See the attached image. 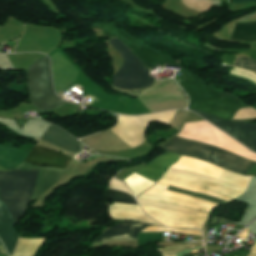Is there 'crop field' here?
I'll list each match as a JSON object with an SVG mask.
<instances>
[{"label": "crop field", "mask_w": 256, "mask_h": 256, "mask_svg": "<svg viewBox=\"0 0 256 256\" xmlns=\"http://www.w3.org/2000/svg\"><path fill=\"white\" fill-rule=\"evenodd\" d=\"M161 179L164 180H170V181H174V182H178V183H183V184H187V185H192V186H196V187H200V188H204L210 191H214L220 194H223L225 196L231 197L233 199L239 197L240 195H242L243 193L209 182L207 180L204 179H200V178H194V177H188V176H184V175H180V174H175V173H169V172H165V174L162 176Z\"/></svg>", "instance_id": "crop-field-10"}, {"label": "crop field", "mask_w": 256, "mask_h": 256, "mask_svg": "<svg viewBox=\"0 0 256 256\" xmlns=\"http://www.w3.org/2000/svg\"><path fill=\"white\" fill-rule=\"evenodd\" d=\"M123 57L124 65L113 76V86L120 89H140L149 87L155 80L148 74L149 70L133 55L131 51L116 38L108 41Z\"/></svg>", "instance_id": "crop-field-5"}, {"label": "crop field", "mask_w": 256, "mask_h": 256, "mask_svg": "<svg viewBox=\"0 0 256 256\" xmlns=\"http://www.w3.org/2000/svg\"><path fill=\"white\" fill-rule=\"evenodd\" d=\"M248 233H249V230L247 228L242 234L238 235V237L246 239Z\"/></svg>", "instance_id": "crop-field-30"}, {"label": "crop field", "mask_w": 256, "mask_h": 256, "mask_svg": "<svg viewBox=\"0 0 256 256\" xmlns=\"http://www.w3.org/2000/svg\"><path fill=\"white\" fill-rule=\"evenodd\" d=\"M168 190L178 192V193H182V194H186V195H190V196H193V197L203 198V199H206V200H208L210 202H213V203H216V204H220V203L223 202V201H221L217 198H214V197H210V196H206V195H202V194H197V193H194V192L174 188V187H171V186H169Z\"/></svg>", "instance_id": "crop-field-29"}, {"label": "crop field", "mask_w": 256, "mask_h": 256, "mask_svg": "<svg viewBox=\"0 0 256 256\" xmlns=\"http://www.w3.org/2000/svg\"><path fill=\"white\" fill-rule=\"evenodd\" d=\"M42 139L53 143L62 149L72 152L76 151L80 143L66 132H64L62 129L53 125H51L50 128L45 132V134L42 136Z\"/></svg>", "instance_id": "crop-field-17"}, {"label": "crop field", "mask_w": 256, "mask_h": 256, "mask_svg": "<svg viewBox=\"0 0 256 256\" xmlns=\"http://www.w3.org/2000/svg\"><path fill=\"white\" fill-rule=\"evenodd\" d=\"M0 256H2V255H0Z\"/></svg>", "instance_id": "crop-field-35"}, {"label": "crop field", "mask_w": 256, "mask_h": 256, "mask_svg": "<svg viewBox=\"0 0 256 256\" xmlns=\"http://www.w3.org/2000/svg\"><path fill=\"white\" fill-rule=\"evenodd\" d=\"M200 244H203V243L202 242H196V243H193V244H187V245H181V246H175V247H168V248H160V249H157V250L161 253L162 256H176V253L194 248L196 246H199Z\"/></svg>", "instance_id": "crop-field-23"}, {"label": "crop field", "mask_w": 256, "mask_h": 256, "mask_svg": "<svg viewBox=\"0 0 256 256\" xmlns=\"http://www.w3.org/2000/svg\"><path fill=\"white\" fill-rule=\"evenodd\" d=\"M109 212L110 217L115 219H132L142 222L158 224L157 222L148 218L141 211L138 205L113 203L112 205H109Z\"/></svg>", "instance_id": "crop-field-15"}, {"label": "crop field", "mask_w": 256, "mask_h": 256, "mask_svg": "<svg viewBox=\"0 0 256 256\" xmlns=\"http://www.w3.org/2000/svg\"><path fill=\"white\" fill-rule=\"evenodd\" d=\"M38 171L0 172V195L14 223L26 212Z\"/></svg>", "instance_id": "crop-field-3"}, {"label": "crop field", "mask_w": 256, "mask_h": 256, "mask_svg": "<svg viewBox=\"0 0 256 256\" xmlns=\"http://www.w3.org/2000/svg\"><path fill=\"white\" fill-rule=\"evenodd\" d=\"M106 198L110 199L114 202L137 204V202L134 200L133 197H131L125 193H121V192H117V191H113V190H106Z\"/></svg>", "instance_id": "crop-field-24"}, {"label": "crop field", "mask_w": 256, "mask_h": 256, "mask_svg": "<svg viewBox=\"0 0 256 256\" xmlns=\"http://www.w3.org/2000/svg\"><path fill=\"white\" fill-rule=\"evenodd\" d=\"M249 254H255L256 255V243L255 245L252 247L251 251L249 252Z\"/></svg>", "instance_id": "crop-field-32"}, {"label": "crop field", "mask_w": 256, "mask_h": 256, "mask_svg": "<svg viewBox=\"0 0 256 256\" xmlns=\"http://www.w3.org/2000/svg\"><path fill=\"white\" fill-rule=\"evenodd\" d=\"M168 171L170 172H176V173H181L185 175H190V176H196V177H201L240 191H245L251 177H246V176H240L235 173L228 172L223 169L222 173L220 174L219 178H213L209 177L203 174H199L196 172H191V171H185V170H180V169H174V168H169Z\"/></svg>", "instance_id": "crop-field-11"}, {"label": "crop field", "mask_w": 256, "mask_h": 256, "mask_svg": "<svg viewBox=\"0 0 256 256\" xmlns=\"http://www.w3.org/2000/svg\"><path fill=\"white\" fill-rule=\"evenodd\" d=\"M137 201L140 205H143V206L166 209V210H171V211H175V212H179V213H183V214H187V215H194V216L205 217V218H207V216H208L207 213H203V212H199V211H195V210H191V209H187V208H183V207H179V206H174V205H169V204H164V203H159V202H153V201H147V200H143V199H139V198H137Z\"/></svg>", "instance_id": "crop-field-20"}, {"label": "crop field", "mask_w": 256, "mask_h": 256, "mask_svg": "<svg viewBox=\"0 0 256 256\" xmlns=\"http://www.w3.org/2000/svg\"><path fill=\"white\" fill-rule=\"evenodd\" d=\"M172 167L197 171L205 174L212 175L218 178L222 168L210 165L204 161L188 158L182 156L181 159Z\"/></svg>", "instance_id": "crop-field-18"}, {"label": "crop field", "mask_w": 256, "mask_h": 256, "mask_svg": "<svg viewBox=\"0 0 256 256\" xmlns=\"http://www.w3.org/2000/svg\"><path fill=\"white\" fill-rule=\"evenodd\" d=\"M143 210L159 222L174 228H203L206 219L187 216L171 211L160 210L155 208L143 207Z\"/></svg>", "instance_id": "crop-field-8"}, {"label": "crop field", "mask_w": 256, "mask_h": 256, "mask_svg": "<svg viewBox=\"0 0 256 256\" xmlns=\"http://www.w3.org/2000/svg\"><path fill=\"white\" fill-rule=\"evenodd\" d=\"M29 151L21 150L14 147H5L0 145V165L11 170L20 165ZM17 170H39L37 181L33 190V195L30 200L37 199L42 193L48 190L55 184L59 176L62 174V169H53L48 167L32 166L23 162L16 168ZM61 177V176H60Z\"/></svg>", "instance_id": "crop-field-6"}, {"label": "crop field", "mask_w": 256, "mask_h": 256, "mask_svg": "<svg viewBox=\"0 0 256 256\" xmlns=\"http://www.w3.org/2000/svg\"><path fill=\"white\" fill-rule=\"evenodd\" d=\"M0 171H8V170H6V169L0 167Z\"/></svg>", "instance_id": "crop-field-34"}, {"label": "crop field", "mask_w": 256, "mask_h": 256, "mask_svg": "<svg viewBox=\"0 0 256 256\" xmlns=\"http://www.w3.org/2000/svg\"><path fill=\"white\" fill-rule=\"evenodd\" d=\"M43 239H19L13 256H33Z\"/></svg>", "instance_id": "crop-field-22"}, {"label": "crop field", "mask_w": 256, "mask_h": 256, "mask_svg": "<svg viewBox=\"0 0 256 256\" xmlns=\"http://www.w3.org/2000/svg\"><path fill=\"white\" fill-rule=\"evenodd\" d=\"M148 224L121 222L101 235L95 242L137 239V233Z\"/></svg>", "instance_id": "crop-field-12"}, {"label": "crop field", "mask_w": 256, "mask_h": 256, "mask_svg": "<svg viewBox=\"0 0 256 256\" xmlns=\"http://www.w3.org/2000/svg\"><path fill=\"white\" fill-rule=\"evenodd\" d=\"M0 254H2V255H6V253H5V251H4V249H3V247H2V245L0 244Z\"/></svg>", "instance_id": "crop-field-33"}, {"label": "crop field", "mask_w": 256, "mask_h": 256, "mask_svg": "<svg viewBox=\"0 0 256 256\" xmlns=\"http://www.w3.org/2000/svg\"><path fill=\"white\" fill-rule=\"evenodd\" d=\"M192 111L198 113L215 126L232 136L234 139L256 152V125L242 122L224 121L196 110Z\"/></svg>", "instance_id": "crop-field-7"}, {"label": "crop field", "mask_w": 256, "mask_h": 256, "mask_svg": "<svg viewBox=\"0 0 256 256\" xmlns=\"http://www.w3.org/2000/svg\"><path fill=\"white\" fill-rule=\"evenodd\" d=\"M31 104L41 111L53 110L67 102L53 93L48 58L45 56L26 70Z\"/></svg>", "instance_id": "crop-field-4"}, {"label": "crop field", "mask_w": 256, "mask_h": 256, "mask_svg": "<svg viewBox=\"0 0 256 256\" xmlns=\"http://www.w3.org/2000/svg\"><path fill=\"white\" fill-rule=\"evenodd\" d=\"M124 182L132 190L135 197L155 184V182L137 175L136 172L129 176L127 179H125Z\"/></svg>", "instance_id": "crop-field-21"}, {"label": "crop field", "mask_w": 256, "mask_h": 256, "mask_svg": "<svg viewBox=\"0 0 256 256\" xmlns=\"http://www.w3.org/2000/svg\"><path fill=\"white\" fill-rule=\"evenodd\" d=\"M164 150L195 157L245 175L256 162L233 155L225 150L175 136Z\"/></svg>", "instance_id": "crop-field-2"}, {"label": "crop field", "mask_w": 256, "mask_h": 256, "mask_svg": "<svg viewBox=\"0 0 256 256\" xmlns=\"http://www.w3.org/2000/svg\"><path fill=\"white\" fill-rule=\"evenodd\" d=\"M180 157L181 156H179V155H175V154L166 152L161 157L150 162L145 167H143L142 169H140L136 172L148 179H151V180L157 182L158 179L163 175V173L171 165L176 163Z\"/></svg>", "instance_id": "crop-field-13"}, {"label": "crop field", "mask_w": 256, "mask_h": 256, "mask_svg": "<svg viewBox=\"0 0 256 256\" xmlns=\"http://www.w3.org/2000/svg\"><path fill=\"white\" fill-rule=\"evenodd\" d=\"M71 158L44 147L35 145L31 150L25 162L33 163L35 165H46L54 168H66Z\"/></svg>", "instance_id": "crop-field-9"}, {"label": "crop field", "mask_w": 256, "mask_h": 256, "mask_svg": "<svg viewBox=\"0 0 256 256\" xmlns=\"http://www.w3.org/2000/svg\"><path fill=\"white\" fill-rule=\"evenodd\" d=\"M256 0H234L233 3H238V2H255Z\"/></svg>", "instance_id": "crop-field-31"}, {"label": "crop field", "mask_w": 256, "mask_h": 256, "mask_svg": "<svg viewBox=\"0 0 256 256\" xmlns=\"http://www.w3.org/2000/svg\"><path fill=\"white\" fill-rule=\"evenodd\" d=\"M232 66L239 67L246 70H251L256 73V60L251 58L236 57Z\"/></svg>", "instance_id": "crop-field-27"}, {"label": "crop field", "mask_w": 256, "mask_h": 256, "mask_svg": "<svg viewBox=\"0 0 256 256\" xmlns=\"http://www.w3.org/2000/svg\"><path fill=\"white\" fill-rule=\"evenodd\" d=\"M142 232H176V233H184V234H191V235H199L202 236V233L197 230H174L164 227H148Z\"/></svg>", "instance_id": "crop-field-28"}, {"label": "crop field", "mask_w": 256, "mask_h": 256, "mask_svg": "<svg viewBox=\"0 0 256 256\" xmlns=\"http://www.w3.org/2000/svg\"><path fill=\"white\" fill-rule=\"evenodd\" d=\"M167 188H168L167 185L157 183L151 189H149L148 191L143 193L141 196H139V198L162 201V202L175 204V205H179V206H183V207H187V208L202 210V211L208 212V213L210 212V210H208L207 208H205L204 206H201V205H197V204H194L191 202L177 200V199H174L171 197L161 196L163 189L167 190Z\"/></svg>", "instance_id": "crop-field-16"}, {"label": "crop field", "mask_w": 256, "mask_h": 256, "mask_svg": "<svg viewBox=\"0 0 256 256\" xmlns=\"http://www.w3.org/2000/svg\"><path fill=\"white\" fill-rule=\"evenodd\" d=\"M159 182L174 186V187H178V188H182V189H187V190H192L198 193H202V194H207V195H211L226 201H230L232 199L226 198L220 194L214 193V192H210L207 190H203V189H199V188H195V187H190V186H186V185H181V184H177V183H172V182H168V181H163V180H159Z\"/></svg>", "instance_id": "crop-field-25"}, {"label": "crop field", "mask_w": 256, "mask_h": 256, "mask_svg": "<svg viewBox=\"0 0 256 256\" xmlns=\"http://www.w3.org/2000/svg\"><path fill=\"white\" fill-rule=\"evenodd\" d=\"M19 235L14 229V223L5 207L0 200V239L5 245L9 256H11L15 243Z\"/></svg>", "instance_id": "crop-field-14"}, {"label": "crop field", "mask_w": 256, "mask_h": 256, "mask_svg": "<svg viewBox=\"0 0 256 256\" xmlns=\"http://www.w3.org/2000/svg\"><path fill=\"white\" fill-rule=\"evenodd\" d=\"M92 27L102 29L104 35L117 36L150 68V70L157 65L163 67L164 65L181 67L176 62L143 46L125 32L117 29L114 24L96 22ZM180 72L189 78L179 83L190 98V105L188 108L209 112L215 117L230 120L241 107V103L238 99L206 87L197 77L193 76L184 68L181 67Z\"/></svg>", "instance_id": "crop-field-1"}, {"label": "crop field", "mask_w": 256, "mask_h": 256, "mask_svg": "<svg viewBox=\"0 0 256 256\" xmlns=\"http://www.w3.org/2000/svg\"><path fill=\"white\" fill-rule=\"evenodd\" d=\"M229 40L237 42H256V22L235 23V28Z\"/></svg>", "instance_id": "crop-field-19"}, {"label": "crop field", "mask_w": 256, "mask_h": 256, "mask_svg": "<svg viewBox=\"0 0 256 256\" xmlns=\"http://www.w3.org/2000/svg\"><path fill=\"white\" fill-rule=\"evenodd\" d=\"M162 195H166V196H171V197H175V198H180V199H185V200H189L192 201L194 203H199L202 204L204 206H206L209 209H214L216 208L218 205L201 200V199H197V198H193V197H189V196H185V195H181V194H177L174 192H170V191H164Z\"/></svg>", "instance_id": "crop-field-26"}]
</instances>
